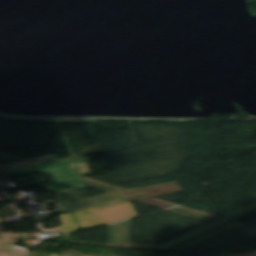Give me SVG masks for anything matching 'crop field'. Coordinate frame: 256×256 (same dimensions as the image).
<instances>
[{"mask_svg": "<svg viewBox=\"0 0 256 256\" xmlns=\"http://www.w3.org/2000/svg\"><path fill=\"white\" fill-rule=\"evenodd\" d=\"M58 203L64 214L72 212L67 201L79 199L88 196L85 187L72 189L56 193ZM129 200V199H128ZM123 191H116L106 195L87 198L71 202L75 211L90 209L95 207H104L128 201Z\"/></svg>", "mask_w": 256, "mask_h": 256, "instance_id": "obj_1", "label": "crop field"}, {"mask_svg": "<svg viewBox=\"0 0 256 256\" xmlns=\"http://www.w3.org/2000/svg\"><path fill=\"white\" fill-rule=\"evenodd\" d=\"M76 213L82 230L137 216L130 202Z\"/></svg>", "mask_w": 256, "mask_h": 256, "instance_id": "obj_2", "label": "crop field"}, {"mask_svg": "<svg viewBox=\"0 0 256 256\" xmlns=\"http://www.w3.org/2000/svg\"><path fill=\"white\" fill-rule=\"evenodd\" d=\"M75 160L77 162V165L80 169L82 176L91 174V172L86 164L89 162V159L87 156L77 158ZM46 170H49L54 182L79 177L72 159L61 161V162H56V163H51V164H47V165L37 166V167L9 171V172L3 173V175L5 176V178H8V177H14V176H19V175H24V174L46 171ZM63 175H67V177L65 178Z\"/></svg>", "mask_w": 256, "mask_h": 256, "instance_id": "obj_3", "label": "crop field"}, {"mask_svg": "<svg viewBox=\"0 0 256 256\" xmlns=\"http://www.w3.org/2000/svg\"><path fill=\"white\" fill-rule=\"evenodd\" d=\"M255 207H256V203L248 205V206H246V207H244V208H242V209H240V210H238V211H236V212H234L232 214H229V215H227V216H225V217H223V218H221V219H219L217 221H214V222L209 223V224H207V225H205V226H203V227H201V228H199L197 230H194V231H192L190 233L182 235V236H180V237H178V238H176V239L166 243L165 245L135 244L133 248L164 250V249H166V248H168V247H170V246H172V245H174L176 243H179V242L184 241V240H186V239H188V238H190V237H192L194 235H197V234H199V233H201L203 231H206V230H208V229H210V228H212V227H214V226H216V225H218V224H220V223H222V222H224L226 220H229V219H231L233 217L241 215V214H243V213H245V212H247V211H249V210H251V209H253Z\"/></svg>", "mask_w": 256, "mask_h": 256, "instance_id": "obj_4", "label": "crop field"}, {"mask_svg": "<svg viewBox=\"0 0 256 256\" xmlns=\"http://www.w3.org/2000/svg\"><path fill=\"white\" fill-rule=\"evenodd\" d=\"M129 201L138 200L135 197L139 196L141 199L154 197L159 195H165L175 192H181L182 189L179 186L178 182L174 183H167L161 185H154V186H147V187H140L134 189H127L123 190Z\"/></svg>", "mask_w": 256, "mask_h": 256, "instance_id": "obj_5", "label": "crop field"}, {"mask_svg": "<svg viewBox=\"0 0 256 256\" xmlns=\"http://www.w3.org/2000/svg\"><path fill=\"white\" fill-rule=\"evenodd\" d=\"M101 152L102 150L99 148V146L86 147V148H83L82 152L75 158L85 156V155L95 154V153H101ZM67 159H70V158H67ZM62 160H65V159H62ZM56 161H61V160L57 159L55 156H46V157L19 161V162H14L9 164H3V165H0V167L4 171H9V170L47 164V163L56 162Z\"/></svg>", "mask_w": 256, "mask_h": 256, "instance_id": "obj_6", "label": "crop field"}, {"mask_svg": "<svg viewBox=\"0 0 256 256\" xmlns=\"http://www.w3.org/2000/svg\"><path fill=\"white\" fill-rule=\"evenodd\" d=\"M109 245L131 247L130 220L109 225Z\"/></svg>", "mask_w": 256, "mask_h": 256, "instance_id": "obj_7", "label": "crop field"}, {"mask_svg": "<svg viewBox=\"0 0 256 256\" xmlns=\"http://www.w3.org/2000/svg\"><path fill=\"white\" fill-rule=\"evenodd\" d=\"M237 225H239V224L237 222H234V223H232L230 225H227V226H225L223 228H220V229H218L216 231H213V232L208 233V234H206L204 236H201V237H199V238H197L195 240H192V241H190V242H188V243H186V244H184L182 246H179V247H177V248H175V249H173L171 251H173V252H181V251H183V250H185V249H187V248H189V247H191V246H193V245H195L197 243H200V242H202V241H204V240H206V239H208V238H210V237H212V236H214L216 234H219V233H221L223 231H226V230H228L230 228H233V227H235Z\"/></svg>", "mask_w": 256, "mask_h": 256, "instance_id": "obj_8", "label": "crop field"}, {"mask_svg": "<svg viewBox=\"0 0 256 256\" xmlns=\"http://www.w3.org/2000/svg\"><path fill=\"white\" fill-rule=\"evenodd\" d=\"M44 186L47 187L52 192H58V191L72 189V188L82 187L83 184L81 182V179L78 178V179L46 184Z\"/></svg>", "mask_w": 256, "mask_h": 256, "instance_id": "obj_9", "label": "crop field"}, {"mask_svg": "<svg viewBox=\"0 0 256 256\" xmlns=\"http://www.w3.org/2000/svg\"><path fill=\"white\" fill-rule=\"evenodd\" d=\"M61 219H62L63 226L56 228L61 233L79 229L76 218L73 213L61 215Z\"/></svg>", "mask_w": 256, "mask_h": 256, "instance_id": "obj_10", "label": "crop field"}, {"mask_svg": "<svg viewBox=\"0 0 256 256\" xmlns=\"http://www.w3.org/2000/svg\"><path fill=\"white\" fill-rule=\"evenodd\" d=\"M0 239H17V234L16 233L3 234L1 225H0Z\"/></svg>", "mask_w": 256, "mask_h": 256, "instance_id": "obj_11", "label": "crop field"}, {"mask_svg": "<svg viewBox=\"0 0 256 256\" xmlns=\"http://www.w3.org/2000/svg\"><path fill=\"white\" fill-rule=\"evenodd\" d=\"M0 224H1V218H0Z\"/></svg>", "mask_w": 256, "mask_h": 256, "instance_id": "obj_12", "label": "crop field"}, {"mask_svg": "<svg viewBox=\"0 0 256 256\" xmlns=\"http://www.w3.org/2000/svg\"><path fill=\"white\" fill-rule=\"evenodd\" d=\"M256 214V213H255Z\"/></svg>", "mask_w": 256, "mask_h": 256, "instance_id": "obj_13", "label": "crop field"}]
</instances>
